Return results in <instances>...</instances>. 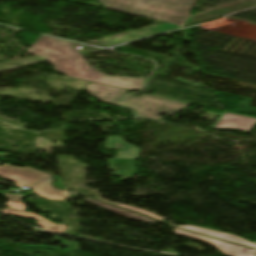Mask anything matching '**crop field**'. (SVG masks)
Returning a JSON list of instances; mask_svg holds the SVG:
<instances>
[{
  "label": "crop field",
  "instance_id": "412701ff",
  "mask_svg": "<svg viewBox=\"0 0 256 256\" xmlns=\"http://www.w3.org/2000/svg\"><path fill=\"white\" fill-rule=\"evenodd\" d=\"M122 105L134 110L140 117L160 120L159 116L162 113L172 115L186 108L188 104L147 95L141 97L129 95Z\"/></svg>",
  "mask_w": 256,
  "mask_h": 256
},
{
  "label": "crop field",
  "instance_id": "dd49c442",
  "mask_svg": "<svg viewBox=\"0 0 256 256\" xmlns=\"http://www.w3.org/2000/svg\"><path fill=\"white\" fill-rule=\"evenodd\" d=\"M8 197L10 199V202L7 204V207L20 209V210H23V212L8 209V208L2 210L1 212L24 217V218L36 219L38 226L47 230L60 232L65 229V226L60 224H54L33 212H25L26 206L21 201L22 195L8 194Z\"/></svg>",
  "mask_w": 256,
  "mask_h": 256
},
{
  "label": "crop field",
  "instance_id": "d9b57169",
  "mask_svg": "<svg viewBox=\"0 0 256 256\" xmlns=\"http://www.w3.org/2000/svg\"><path fill=\"white\" fill-rule=\"evenodd\" d=\"M27 246H29V247H36V248H43V249L59 250V248H54V247H49V246H43V245H39V246L27 245Z\"/></svg>",
  "mask_w": 256,
  "mask_h": 256
},
{
  "label": "crop field",
  "instance_id": "f4fd0767",
  "mask_svg": "<svg viewBox=\"0 0 256 256\" xmlns=\"http://www.w3.org/2000/svg\"><path fill=\"white\" fill-rule=\"evenodd\" d=\"M174 231H175V234L178 236L211 243L213 246H215L218 249L220 253H222L225 256H254L256 253V250L248 249L235 244L207 238L204 236L189 233V232L182 231L175 228H174Z\"/></svg>",
  "mask_w": 256,
  "mask_h": 256
},
{
  "label": "crop field",
  "instance_id": "28ad6ade",
  "mask_svg": "<svg viewBox=\"0 0 256 256\" xmlns=\"http://www.w3.org/2000/svg\"><path fill=\"white\" fill-rule=\"evenodd\" d=\"M178 227L184 228V229H187V230H191V231H194V232H197V233H201V234H205V235H209V236H213V237H217V238L237 242V243H240V244L252 246V247L256 248V244H254L250 241L244 240L242 238L236 237V236L231 235V234L218 232V231H213V230L204 229V228H199V227H193V226H178Z\"/></svg>",
  "mask_w": 256,
  "mask_h": 256
},
{
  "label": "crop field",
  "instance_id": "cbeb9de0",
  "mask_svg": "<svg viewBox=\"0 0 256 256\" xmlns=\"http://www.w3.org/2000/svg\"><path fill=\"white\" fill-rule=\"evenodd\" d=\"M159 1H164V2H169V3H174L178 5H183L192 8L195 0H159Z\"/></svg>",
  "mask_w": 256,
  "mask_h": 256
},
{
  "label": "crop field",
  "instance_id": "e52e79f7",
  "mask_svg": "<svg viewBox=\"0 0 256 256\" xmlns=\"http://www.w3.org/2000/svg\"><path fill=\"white\" fill-rule=\"evenodd\" d=\"M255 125V118L224 112L210 128H232L250 131Z\"/></svg>",
  "mask_w": 256,
  "mask_h": 256
},
{
  "label": "crop field",
  "instance_id": "d1516ede",
  "mask_svg": "<svg viewBox=\"0 0 256 256\" xmlns=\"http://www.w3.org/2000/svg\"><path fill=\"white\" fill-rule=\"evenodd\" d=\"M86 200H88V201H90V202H92L94 204H97V205H99V206H101L103 208H106L108 210L116 212V213H118L120 215H123L125 217H129V218H133V219L138 220V221H143V222H155L156 221V220L153 221V220H151V219H149L147 217H144V216H141V215H137V214L131 213L129 211H126V210H123V209H120V208H117V207L105 204V203L98 202V201L90 199V198H88Z\"/></svg>",
  "mask_w": 256,
  "mask_h": 256
},
{
  "label": "crop field",
  "instance_id": "733c2abd",
  "mask_svg": "<svg viewBox=\"0 0 256 256\" xmlns=\"http://www.w3.org/2000/svg\"><path fill=\"white\" fill-rule=\"evenodd\" d=\"M56 187L63 188L64 185L62 184V179H60L58 176H56V182H55Z\"/></svg>",
  "mask_w": 256,
  "mask_h": 256
},
{
  "label": "crop field",
  "instance_id": "bc2a9ffb",
  "mask_svg": "<svg viewBox=\"0 0 256 256\" xmlns=\"http://www.w3.org/2000/svg\"><path fill=\"white\" fill-rule=\"evenodd\" d=\"M0 194H4V192L0 191Z\"/></svg>",
  "mask_w": 256,
  "mask_h": 256
},
{
  "label": "crop field",
  "instance_id": "ac0d7876",
  "mask_svg": "<svg viewBox=\"0 0 256 256\" xmlns=\"http://www.w3.org/2000/svg\"><path fill=\"white\" fill-rule=\"evenodd\" d=\"M105 8L183 25L191 9L154 0H99ZM148 12V14L143 13Z\"/></svg>",
  "mask_w": 256,
  "mask_h": 256
},
{
  "label": "crop field",
  "instance_id": "8a807250",
  "mask_svg": "<svg viewBox=\"0 0 256 256\" xmlns=\"http://www.w3.org/2000/svg\"><path fill=\"white\" fill-rule=\"evenodd\" d=\"M76 43L41 35L27 52L41 56L54 64V70L68 77L118 87L141 90L146 79L112 77L100 73L74 49Z\"/></svg>",
  "mask_w": 256,
  "mask_h": 256
},
{
  "label": "crop field",
  "instance_id": "3316defc",
  "mask_svg": "<svg viewBox=\"0 0 256 256\" xmlns=\"http://www.w3.org/2000/svg\"><path fill=\"white\" fill-rule=\"evenodd\" d=\"M107 149L119 150L117 158H129V159H136L139 154L138 148L126 143L122 142L120 138L108 137Z\"/></svg>",
  "mask_w": 256,
  "mask_h": 256
},
{
  "label": "crop field",
  "instance_id": "4a817a6b",
  "mask_svg": "<svg viewBox=\"0 0 256 256\" xmlns=\"http://www.w3.org/2000/svg\"><path fill=\"white\" fill-rule=\"evenodd\" d=\"M0 157H2L1 160H5L4 155L2 153H0Z\"/></svg>",
  "mask_w": 256,
  "mask_h": 256
},
{
  "label": "crop field",
  "instance_id": "5142ce71",
  "mask_svg": "<svg viewBox=\"0 0 256 256\" xmlns=\"http://www.w3.org/2000/svg\"><path fill=\"white\" fill-rule=\"evenodd\" d=\"M59 238H60L59 236H55V237H54L55 241H60ZM61 238H62V237H61ZM66 241H67V240H65V239L62 238L63 246L67 247V245H69V250H70V251H80V250H79V246H78L77 243L71 242V241L66 242ZM75 246H78V248L76 249Z\"/></svg>",
  "mask_w": 256,
  "mask_h": 256
},
{
  "label": "crop field",
  "instance_id": "5a996713",
  "mask_svg": "<svg viewBox=\"0 0 256 256\" xmlns=\"http://www.w3.org/2000/svg\"><path fill=\"white\" fill-rule=\"evenodd\" d=\"M108 164L109 170L115 171L114 174L121 177V181H126L137 174L134 160L108 159Z\"/></svg>",
  "mask_w": 256,
  "mask_h": 256
},
{
  "label": "crop field",
  "instance_id": "34b2d1b8",
  "mask_svg": "<svg viewBox=\"0 0 256 256\" xmlns=\"http://www.w3.org/2000/svg\"><path fill=\"white\" fill-rule=\"evenodd\" d=\"M0 166V176L2 179L16 182V186L31 187L36 193L53 200H64L66 197L61 190L54 189L51 186V176L36 170L34 168H19L8 164ZM2 182L0 184L5 183Z\"/></svg>",
  "mask_w": 256,
  "mask_h": 256
},
{
  "label": "crop field",
  "instance_id": "22f410ed",
  "mask_svg": "<svg viewBox=\"0 0 256 256\" xmlns=\"http://www.w3.org/2000/svg\"><path fill=\"white\" fill-rule=\"evenodd\" d=\"M102 200V199H100ZM102 201H105V200H102ZM105 202H108V203H111V204H115V205H118V206H121V207H124V208H127L129 210H132V211H135V212H138V213H141V214H144V215H147V216H150L156 220H159V221H162L164 220L163 218L151 213V212H148V211H145V210H141V209H138V208H134V207H129V206H124V205H120V204H116V203H113V202H109V201H105Z\"/></svg>",
  "mask_w": 256,
  "mask_h": 256
},
{
  "label": "crop field",
  "instance_id": "d8731c3e",
  "mask_svg": "<svg viewBox=\"0 0 256 256\" xmlns=\"http://www.w3.org/2000/svg\"><path fill=\"white\" fill-rule=\"evenodd\" d=\"M100 100L117 105L126 90L88 83L84 88Z\"/></svg>",
  "mask_w": 256,
  "mask_h": 256
}]
</instances>
